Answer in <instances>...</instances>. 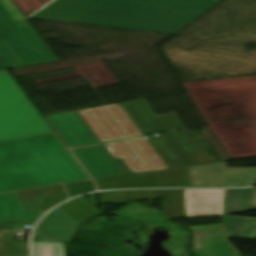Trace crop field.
I'll return each mask as SVG.
<instances>
[{
	"label": "crop field",
	"mask_w": 256,
	"mask_h": 256,
	"mask_svg": "<svg viewBox=\"0 0 256 256\" xmlns=\"http://www.w3.org/2000/svg\"><path fill=\"white\" fill-rule=\"evenodd\" d=\"M52 132L7 72L0 71V141Z\"/></svg>",
	"instance_id": "obj_3"
},
{
	"label": "crop field",
	"mask_w": 256,
	"mask_h": 256,
	"mask_svg": "<svg viewBox=\"0 0 256 256\" xmlns=\"http://www.w3.org/2000/svg\"><path fill=\"white\" fill-rule=\"evenodd\" d=\"M88 196H89L90 202H91L94 206H97L94 193H93V194H89Z\"/></svg>",
	"instance_id": "obj_24"
},
{
	"label": "crop field",
	"mask_w": 256,
	"mask_h": 256,
	"mask_svg": "<svg viewBox=\"0 0 256 256\" xmlns=\"http://www.w3.org/2000/svg\"><path fill=\"white\" fill-rule=\"evenodd\" d=\"M65 243H41L34 237V256H64Z\"/></svg>",
	"instance_id": "obj_21"
},
{
	"label": "crop field",
	"mask_w": 256,
	"mask_h": 256,
	"mask_svg": "<svg viewBox=\"0 0 256 256\" xmlns=\"http://www.w3.org/2000/svg\"><path fill=\"white\" fill-rule=\"evenodd\" d=\"M190 187L249 186L256 168H226L225 161L186 167Z\"/></svg>",
	"instance_id": "obj_6"
},
{
	"label": "crop field",
	"mask_w": 256,
	"mask_h": 256,
	"mask_svg": "<svg viewBox=\"0 0 256 256\" xmlns=\"http://www.w3.org/2000/svg\"><path fill=\"white\" fill-rule=\"evenodd\" d=\"M72 151L95 179L125 175L103 145Z\"/></svg>",
	"instance_id": "obj_12"
},
{
	"label": "crop field",
	"mask_w": 256,
	"mask_h": 256,
	"mask_svg": "<svg viewBox=\"0 0 256 256\" xmlns=\"http://www.w3.org/2000/svg\"><path fill=\"white\" fill-rule=\"evenodd\" d=\"M5 232H14V230H7V231H5Z\"/></svg>",
	"instance_id": "obj_25"
},
{
	"label": "crop field",
	"mask_w": 256,
	"mask_h": 256,
	"mask_svg": "<svg viewBox=\"0 0 256 256\" xmlns=\"http://www.w3.org/2000/svg\"><path fill=\"white\" fill-rule=\"evenodd\" d=\"M4 69L3 66L0 64V70Z\"/></svg>",
	"instance_id": "obj_26"
},
{
	"label": "crop field",
	"mask_w": 256,
	"mask_h": 256,
	"mask_svg": "<svg viewBox=\"0 0 256 256\" xmlns=\"http://www.w3.org/2000/svg\"><path fill=\"white\" fill-rule=\"evenodd\" d=\"M50 50L26 19L16 25L0 5V60L6 69L58 61Z\"/></svg>",
	"instance_id": "obj_4"
},
{
	"label": "crop field",
	"mask_w": 256,
	"mask_h": 256,
	"mask_svg": "<svg viewBox=\"0 0 256 256\" xmlns=\"http://www.w3.org/2000/svg\"><path fill=\"white\" fill-rule=\"evenodd\" d=\"M98 188L188 187L184 167L96 180Z\"/></svg>",
	"instance_id": "obj_8"
},
{
	"label": "crop field",
	"mask_w": 256,
	"mask_h": 256,
	"mask_svg": "<svg viewBox=\"0 0 256 256\" xmlns=\"http://www.w3.org/2000/svg\"><path fill=\"white\" fill-rule=\"evenodd\" d=\"M66 187H67V191H68V194L70 197L80 194V193L94 190L91 181L75 183V184H68V185H66Z\"/></svg>",
	"instance_id": "obj_22"
},
{
	"label": "crop field",
	"mask_w": 256,
	"mask_h": 256,
	"mask_svg": "<svg viewBox=\"0 0 256 256\" xmlns=\"http://www.w3.org/2000/svg\"><path fill=\"white\" fill-rule=\"evenodd\" d=\"M228 238L256 240V219L224 216Z\"/></svg>",
	"instance_id": "obj_18"
},
{
	"label": "crop field",
	"mask_w": 256,
	"mask_h": 256,
	"mask_svg": "<svg viewBox=\"0 0 256 256\" xmlns=\"http://www.w3.org/2000/svg\"><path fill=\"white\" fill-rule=\"evenodd\" d=\"M189 228L194 232V252L197 256H239L227 241L223 224Z\"/></svg>",
	"instance_id": "obj_9"
},
{
	"label": "crop field",
	"mask_w": 256,
	"mask_h": 256,
	"mask_svg": "<svg viewBox=\"0 0 256 256\" xmlns=\"http://www.w3.org/2000/svg\"><path fill=\"white\" fill-rule=\"evenodd\" d=\"M0 3L8 12V14L12 17L16 24L25 19L11 0H0Z\"/></svg>",
	"instance_id": "obj_23"
},
{
	"label": "crop field",
	"mask_w": 256,
	"mask_h": 256,
	"mask_svg": "<svg viewBox=\"0 0 256 256\" xmlns=\"http://www.w3.org/2000/svg\"><path fill=\"white\" fill-rule=\"evenodd\" d=\"M105 1L107 0H54L31 18L71 23Z\"/></svg>",
	"instance_id": "obj_11"
},
{
	"label": "crop field",
	"mask_w": 256,
	"mask_h": 256,
	"mask_svg": "<svg viewBox=\"0 0 256 256\" xmlns=\"http://www.w3.org/2000/svg\"><path fill=\"white\" fill-rule=\"evenodd\" d=\"M104 146L113 158H121L130 171L143 173L168 168L145 137L132 138ZM134 155L138 158L132 157Z\"/></svg>",
	"instance_id": "obj_7"
},
{
	"label": "crop field",
	"mask_w": 256,
	"mask_h": 256,
	"mask_svg": "<svg viewBox=\"0 0 256 256\" xmlns=\"http://www.w3.org/2000/svg\"><path fill=\"white\" fill-rule=\"evenodd\" d=\"M26 212L47 211L67 199L63 186L16 192Z\"/></svg>",
	"instance_id": "obj_14"
},
{
	"label": "crop field",
	"mask_w": 256,
	"mask_h": 256,
	"mask_svg": "<svg viewBox=\"0 0 256 256\" xmlns=\"http://www.w3.org/2000/svg\"><path fill=\"white\" fill-rule=\"evenodd\" d=\"M42 213H25L15 192L0 195V221L38 219Z\"/></svg>",
	"instance_id": "obj_17"
},
{
	"label": "crop field",
	"mask_w": 256,
	"mask_h": 256,
	"mask_svg": "<svg viewBox=\"0 0 256 256\" xmlns=\"http://www.w3.org/2000/svg\"><path fill=\"white\" fill-rule=\"evenodd\" d=\"M256 210V188L227 190L224 215Z\"/></svg>",
	"instance_id": "obj_16"
},
{
	"label": "crop field",
	"mask_w": 256,
	"mask_h": 256,
	"mask_svg": "<svg viewBox=\"0 0 256 256\" xmlns=\"http://www.w3.org/2000/svg\"><path fill=\"white\" fill-rule=\"evenodd\" d=\"M88 180L55 133L0 142V193Z\"/></svg>",
	"instance_id": "obj_1"
},
{
	"label": "crop field",
	"mask_w": 256,
	"mask_h": 256,
	"mask_svg": "<svg viewBox=\"0 0 256 256\" xmlns=\"http://www.w3.org/2000/svg\"><path fill=\"white\" fill-rule=\"evenodd\" d=\"M78 226V222L56 208L41 220L33 235L41 236L42 241H70Z\"/></svg>",
	"instance_id": "obj_13"
},
{
	"label": "crop field",
	"mask_w": 256,
	"mask_h": 256,
	"mask_svg": "<svg viewBox=\"0 0 256 256\" xmlns=\"http://www.w3.org/2000/svg\"><path fill=\"white\" fill-rule=\"evenodd\" d=\"M99 196L100 202H117L118 199L124 201L128 199V201H134V199H155V197H163V190H154V191H119V192H104L97 193Z\"/></svg>",
	"instance_id": "obj_20"
},
{
	"label": "crop field",
	"mask_w": 256,
	"mask_h": 256,
	"mask_svg": "<svg viewBox=\"0 0 256 256\" xmlns=\"http://www.w3.org/2000/svg\"><path fill=\"white\" fill-rule=\"evenodd\" d=\"M46 118L70 148L100 143L77 111Z\"/></svg>",
	"instance_id": "obj_10"
},
{
	"label": "crop field",
	"mask_w": 256,
	"mask_h": 256,
	"mask_svg": "<svg viewBox=\"0 0 256 256\" xmlns=\"http://www.w3.org/2000/svg\"><path fill=\"white\" fill-rule=\"evenodd\" d=\"M222 0H108L75 24L174 34Z\"/></svg>",
	"instance_id": "obj_2"
},
{
	"label": "crop field",
	"mask_w": 256,
	"mask_h": 256,
	"mask_svg": "<svg viewBox=\"0 0 256 256\" xmlns=\"http://www.w3.org/2000/svg\"><path fill=\"white\" fill-rule=\"evenodd\" d=\"M162 215L169 219L185 218L182 190H164Z\"/></svg>",
	"instance_id": "obj_19"
},
{
	"label": "crop field",
	"mask_w": 256,
	"mask_h": 256,
	"mask_svg": "<svg viewBox=\"0 0 256 256\" xmlns=\"http://www.w3.org/2000/svg\"><path fill=\"white\" fill-rule=\"evenodd\" d=\"M78 112L101 143L142 135L119 104Z\"/></svg>",
	"instance_id": "obj_5"
},
{
	"label": "crop field",
	"mask_w": 256,
	"mask_h": 256,
	"mask_svg": "<svg viewBox=\"0 0 256 256\" xmlns=\"http://www.w3.org/2000/svg\"><path fill=\"white\" fill-rule=\"evenodd\" d=\"M36 220L0 222V256H29L28 244L17 242L14 233H1L7 229H22Z\"/></svg>",
	"instance_id": "obj_15"
}]
</instances>
